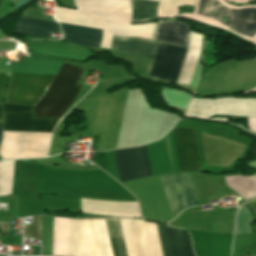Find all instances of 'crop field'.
<instances>
[{"label": "crop field", "mask_w": 256, "mask_h": 256, "mask_svg": "<svg viewBox=\"0 0 256 256\" xmlns=\"http://www.w3.org/2000/svg\"><path fill=\"white\" fill-rule=\"evenodd\" d=\"M54 78L55 76L13 74L5 102L35 106Z\"/></svg>", "instance_id": "crop-field-10"}, {"label": "crop field", "mask_w": 256, "mask_h": 256, "mask_svg": "<svg viewBox=\"0 0 256 256\" xmlns=\"http://www.w3.org/2000/svg\"><path fill=\"white\" fill-rule=\"evenodd\" d=\"M226 97L210 99L193 98L184 116L225 123L227 118L208 117L219 114ZM220 114L256 117V99L227 97Z\"/></svg>", "instance_id": "crop-field-7"}, {"label": "crop field", "mask_w": 256, "mask_h": 256, "mask_svg": "<svg viewBox=\"0 0 256 256\" xmlns=\"http://www.w3.org/2000/svg\"><path fill=\"white\" fill-rule=\"evenodd\" d=\"M127 256H162L155 223L119 219Z\"/></svg>", "instance_id": "crop-field-8"}, {"label": "crop field", "mask_w": 256, "mask_h": 256, "mask_svg": "<svg viewBox=\"0 0 256 256\" xmlns=\"http://www.w3.org/2000/svg\"><path fill=\"white\" fill-rule=\"evenodd\" d=\"M174 132L180 171H200L194 130L174 128ZM114 153L122 183L152 175L145 145Z\"/></svg>", "instance_id": "crop-field-3"}, {"label": "crop field", "mask_w": 256, "mask_h": 256, "mask_svg": "<svg viewBox=\"0 0 256 256\" xmlns=\"http://www.w3.org/2000/svg\"><path fill=\"white\" fill-rule=\"evenodd\" d=\"M170 20L172 19H169L168 21ZM161 22H167V21H157L152 39L157 38V34L159 31ZM185 25L186 23L177 22L174 20L167 23H162L159 34H158V38L157 40H154V41L182 46L183 40H184ZM188 35H189V24H187L186 26L185 40L183 45L185 47H187Z\"/></svg>", "instance_id": "crop-field-13"}, {"label": "crop field", "mask_w": 256, "mask_h": 256, "mask_svg": "<svg viewBox=\"0 0 256 256\" xmlns=\"http://www.w3.org/2000/svg\"><path fill=\"white\" fill-rule=\"evenodd\" d=\"M9 222H0V235H8Z\"/></svg>", "instance_id": "crop-field-23"}, {"label": "crop field", "mask_w": 256, "mask_h": 256, "mask_svg": "<svg viewBox=\"0 0 256 256\" xmlns=\"http://www.w3.org/2000/svg\"><path fill=\"white\" fill-rule=\"evenodd\" d=\"M15 32L20 35L50 37L51 33H60L59 25L53 22L21 17Z\"/></svg>", "instance_id": "crop-field-15"}, {"label": "crop field", "mask_w": 256, "mask_h": 256, "mask_svg": "<svg viewBox=\"0 0 256 256\" xmlns=\"http://www.w3.org/2000/svg\"><path fill=\"white\" fill-rule=\"evenodd\" d=\"M158 44L114 36L111 49L154 59ZM185 50L160 43L149 77L175 82Z\"/></svg>", "instance_id": "crop-field-5"}, {"label": "crop field", "mask_w": 256, "mask_h": 256, "mask_svg": "<svg viewBox=\"0 0 256 256\" xmlns=\"http://www.w3.org/2000/svg\"><path fill=\"white\" fill-rule=\"evenodd\" d=\"M81 71L82 68L63 63L52 85L33 108V118H59L80 88L75 83Z\"/></svg>", "instance_id": "crop-field-6"}, {"label": "crop field", "mask_w": 256, "mask_h": 256, "mask_svg": "<svg viewBox=\"0 0 256 256\" xmlns=\"http://www.w3.org/2000/svg\"><path fill=\"white\" fill-rule=\"evenodd\" d=\"M9 74H0V103L2 102L4 90L6 87L7 79Z\"/></svg>", "instance_id": "crop-field-22"}, {"label": "crop field", "mask_w": 256, "mask_h": 256, "mask_svg": "<svg viewBox=\"0 0 256 256\" xmlns=\"http://www.w3.org/2000/svg\"><path fill=\"white\" fill-rule=\"evenodd\" d=\"M57 121L32 119V107L3 104V131L51 133Z\"/></svg>", "instance_id": "crop-field-11"}, {"label": "crop field", "mask_w": 256, "mask_h": 256, "mask_svg": "<svg viewBox=\"0 0 256 256\" xmlns=\"http://www.w3.org/2000/svg\"><path fill=\"white\" fill-rule=\"evenodd\" d=\"M163 256H194L186 233L156 223Z\"/></svg>", "instance_id": "crop-field-12"}, {"label": "crop field", "mask_w": 256, "mask_h": 256, "mask_svg": "<svg viewBox=\"0 0 256 256\" xmlns=\"http://www.w3.org/2000/svg\"><path fill=\"white\" fill-rule=\"evenodd\" d=\"M0 121H1V104H0Z\"/></svg>", "instance_id": "crop-field-27"}, {"label": "crop field", "mask_w": 256, "mask_h": 256, "mask_svg": "<svg viewBox=\"0 0 256 256\" xmlns=\"http://www.w3.org/2000/svg\"><path fill=\"white\" fill-rule=\"evenodd\" d=\"M59 24L64 35V40L72 41L91 48L92 46H100L102 30Z\"/></svg>", "instance_id": "crop-field-14"}, {"label": "crop field", "mask_w": 256, "mask_h": 256, "mask_svg": "<svg viewBox=\"0 0 256 256\" xmlns=\"http://www.w3.org/2000/svg\"><path fill=\"white\" fill-rule=\"evenodd\" d=\"M248 127L249 129L256 131V118H248Z\"/></svg>", "instance_id": "crop-field-24"}, {"label": "crop field", "mask_w": 256, "mask_h": 256, "mask_svg": "<svg viewBox=\"0 0 256 256\" xmlns=\"http://www.w3.org/2000/svg\"><path fill=\"white\" fill-rule=\"evenodd\" d=\"M227 1L235 2V3H241V2H252V1H256V0H227Z\"/></svg>", "instance_id": "crop-field-25"}, {"label": "crop field", "mask_w": 256, "mask_h": 256, "mask_svg": "<svg viewBox=\"0 0 256 256\" xmlns=\"http://www.w3.org/2000/svg\"><path fill=\"white\" fill-rule=\"evenodd\" d=\"M195 0H160L157 18L171 17L177 14L178 5H194Z\"/></svg>", "instance_id": "crop-field-19"}, {"label": "crop field", "mask_w": 256, "mask_h": 256, "mask_svg": "<svg viewBox=\"0 0 256 256\" xmlns=\"http://www.w3.org/2000/svg\"><path fill=\"white\" fill-rule=\"evenodd\" d=\"M256 43V5L231 7L223 0H197L193 14H181Z\"/></svg>", "instance_id": "crop-field-4"}, {"label": "crop field", "mask_w": 256, "mask_h": 256, "mask_svg": "<svg viewBox=\"0 0 256 256\" xmlns=\"http://www.w3.org/2000/svg\"><path fill=\"white\" fill-rule=\"evenodd\" d=\"M158 177L172 219L185 207L199 205L188 173Z\"/></svg>", "instance_id": "crop-field-9"}, {"label": "crop field", "mask_w": 256, "mask_h": 256, "mask_svg": "<svg viewBox=\"0 0 256 256\" xmlns=\"http://www.w3.org/2000/svg\"><path fill=\"white\" fill-rule=\"evenodd\" d=\"M254 91H256V87L253 88V89H251V90H248V91H246V92H244V93L247 94V93H251V92H254Z\"/></svg>", "instance_id": "crop-field-26"}, {"label": "crop field", "mask_w": 256, "mask_h": 256, "mask_svg": "<svg viewBox=\"0 0 256 256\" xmlns=\"http://www.w3.org/2000/svg\"><path fill=\"white\" fill-rule=\"evenodd\" d=\"M114 256H126L117 218L105 219Z\"/></svg>", "instance_id": "crop-field-17"}, {"label": "crop field", "mask_w": 256, "mask_h": 256, "mask_svg": "<svg viewBox=\"0 0 256 256\" xmlns=\"http://www.w3.org/2000/svg\"><path fill=\"white\" fill-rule=\"evenodd\" d=\"M227 185L243 199L256 196V175L252 177L227 176Z\"/></svg>", "instance_id": "crop-field-16"}, {"label": "crop field", "mask_w": 256, "mask_h": 256, "mask_svg": "<svg viewBox=\"0 0 256 256\" xmlns=\"http://www.w3.org/2000/svg\"><path fill=\"white\" fill-rule=\"evenodd\" d=\"M33 226H23L24 237H33V240H41V215L32 217Z\"/></svg>", "instance_id": "crop-field-21"}, {"label": "crop field", "mask_w": 256, "mask_h": 256, "mask_svg": "<svg viewBox=\"0 0 256 256\" xmlns=\"http://www.w3.org/2000/svg\"><path fill=\"white\" fill-rule=\"evenodd\" d=\"M158 1V0H156ZM77 9L130 21V0H74ZM84 11L56 7L57 22L103 29L102 48L109 49L112 35L152 38L155 23L129 25L130 22L112 19Z\"/></svg>", "instance_id": "crop-field-1"}, {"label": "crop field", "mask_w": 256, "mask_h": 256, "mask_svg": "<svg viewBox=\"0 0 256 256\" xmlns=\"http://www.w3.org/2000/svg\"><path fill=\"white\" fill-rule=\"evenodd\" d=\"M67 219L54 217L52 255L66 256ZM67 256H113L104 219H68Z\"/></svg>", "instance_id": "crop-field-2"}, {"label": "crop field", "mask_w": 256, "mask_h": 256, "mask_svg": "<svg viewBox=\"0 0 256 256\" xmlns=\"http://www.w3.org/2000/svg\"><path fill=\"white\" fill-rule=\"evenodd\" d=\"M251 214L241 206L238 210V218L235 234L251 233L249 223Z\"/></svg>", "instance_id": "crop-field-20"}, {"label": "crop field", "mask_w": 256, "mask_h": 256, "mask_svg": "<svg viewBox=\"0 0 256 256\" xmlns=\"http://www.w3.org/2000/svg\"><path fill=\"white\" fill-rule=\"evenodd\" d=\"M133 12L131 20H142L156 16V9L159 2L148 0H131Z\"/></svg>", "instance_id": "crop-field-18"}, {"label": "crop field", "mask_w": 256, "mask_h": 256, "mask_svg": "<svg viewBox=\"0 0 256 256\" xmlns=\"http://www.w3.org/2000/svg\"><path fill=\"white\" fill-rule=\"evenodd\" d=\"M0 137H1V123H0Z\"/></svg>", "instance_id": "crop-field-28"}]
</instances>
